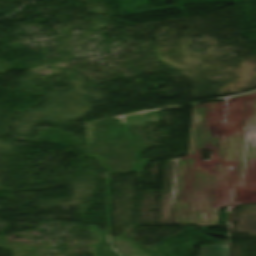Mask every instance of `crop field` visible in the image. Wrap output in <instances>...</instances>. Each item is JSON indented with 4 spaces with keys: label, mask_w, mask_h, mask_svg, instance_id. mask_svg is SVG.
Wrapping results in <instances>:
<instances>
[{
    "label": "crop field",
    "mask_w": 256,
    "mask_h": 256,
    "mask_svg": "<svg viewBox=\"0 0 256 256\" xmlns=\"http://www.w3.org/2000/svg\"><path fill=\"white\" fill-rule=\"evenodd\" d=\"M224 106L225 101L193 107L188 156L179 166L174 222L216 224L219 206L243 203L250 133L256 132V94L230 98L225 124ZM201 149L212 151L211 161H199Z\"/></svg>",
    "instance_id": "8a807250"
},
{
    "label": "crop field",
    "mask_w": 256,
    "mask_h": 256,
    "mask_svg": "<svg viewBox=\"0 0 256 256\" xmlns=\"http://www.w3.org/2000/svg\"><path fill=\"white\" fill-rule=\"evenodd\" d=\"M231 244L201 247L200 256H230Z\"/></svg>",
    "instance_id": "ac0d7876"
}]
</instances>
